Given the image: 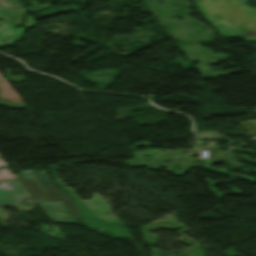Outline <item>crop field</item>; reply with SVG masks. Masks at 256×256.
I'll return each instance as SVG.
<instances>
[{"label": "crop field", "mask_w": 256, "mask_h": 256, "mask_svg": "<svg viewBox=\"0 0 256 256\" xmlns=\"http://www.w3.org/2000/svg\"><path fill=\"white\" fill-rule=\"evenodd\" d=\"M17 177L19 179H21L24 183V185L27 187V189L33 194V196L36 199H58V200H62L60 195L57 194L48 184H50L58 193L62 194L63 199L65 200L71 214L73 215L74 218H79L68 195L63 192L59 187H57L53 181L49 178V176L43 172V171H39V170H32V171H27L24 172L22 174L17 175ZM26 178L28 180V182L33 186V188L35 190H33L31 188V186L26 182V180L24 179ZM35 182L38 187L43 191V193L46 196H43L41 194V192L38 190V188L35 186V184L33 183ZM44 182L47 183L46 185H44ZM36 194H39L41 197L37 196Z\"/></svg>", "instance_id": "obj_1"}, {"label": "crop field", "mask_w": 256, "mask_h": 256, "mask_svg": "<svg viewBox=\"0 0 256 256\" xmlns=\"http://www.w3.org/2000/svg\"><path fill=\"white\" fill-rule=\"evenodd\" d=\"M1 185L2 187H0V205H16L19 204L22 200L30 197L26 190L23 188V186L20 184V182H6L1 183ZM4 186L8 188L5 189Z\"/></svg>", "instance_id": "obj_2"}, {"label": "crop field", "mask_w": 256, "mask_h": 256, "mask_svg": "<svg viewBox=\"0 0 256 256\" xmlns=\"http://www.w3.org/2000/svg\"><path fill=\"white\" fill-rule=\"evenodd\" d=\"M42 204L45 212L56 222L73 223L72 219L63 204L59 201H38Z\"/></svg>", "instance_id": "obj_3"}, {"label": "crop field", "mask_w": 256, "mask_h": 256, "mask_svg": "<svg viewBox=\"0 0 256 256\" xmlns=\"http://www.w3.org/2000/svg\"><path fill=\"white\" fill-rule=\"evenodd\" d=\"M90 74H94V76L85 75L84 78L88 79L86 81L98 84L97 88L100 90H106L108 87L115 81V79L119 76L118 70H107L101 72H88ZM82 75L83 73L80 72ZM102 75V76H97ZM83 77V76H82Z\"/></svg>", "instance_id": "obj_4"}, {"label": "crop field", "mask_w": 256, "mask_h": 256, "mask_svg": "<svg viewBox=\"0 0 256 256\" xmlns=\"http://www.w3.org/2000/svg\"><path fill=\"white\" fill-rule=\"evenodd\" d=\"M184 152H185L184 150L168 151V150L164 149V151H161L159 154H157L155 156H148L147 158H153V159H157V160H161V161L171 160L172 164L182 165V166L191 167V168L198 167L197 165H195L196 160L192 159L191 157H189L187 155H184ZM172 154L175 156H179V158L170 159L169 157Z\"/></svg>", "instance_id": "obj_5"}, {"label": "crop field", "mask_w": 256, "mask_h": 256, "mask_svg": "<svg viewBox=\"0 0 256 256\" xmlns=\"http://www.w3.org/2000/svg\"><path fill=\"white\" fill-rule=\"evenodd\" d=\"M153 144L150 142H145V144H141V143H137L135 144L131 149L134 150L133 153H131L130 155L135 156L134 159L127 161V165H130L131 167H140V166H147L148 169H153V166L150 164V162H148L146 160V158L144 157L145 155H155L157 153H159L161 150L160 149H156V150H150L151 146ZM138 146H148V152H140V151H136V148Z\"/></svg>", "instance_id": "obj_6"}, {"label": "crop field", "mask_w": 256, "mask_h": 256, "mask_svg": "<svg viewBox=\"0 0 256 256\" xmlns=\"http://www.w3.org/2000/svg\"><path fill=\"white\" fill-rule=\"evenodd\" d=\"M205 169H209V170H213V171H217V172H221V173H225V174H229V175H232V179L231 181H223L224 183H228V182H232L233 179H237V180H242V179H247L253 183H255L256 181L254 180L255 178H252V177H249V176H243V175H237V174H233L227 170H232V169H221V170H217V169H214L212 167H204ZM206 182H209L211 188L210 190L216 195L217 198H222V195L223 194H227V193H218L214 188H213V185H219V182H210L208 181V179L205 180ZM228 188L232 189L231 192L229 193H233V194H242V192L234 189L233 187L227 185Z\"/></svg>", "instance_id": "obj_7"}, {"label": "crop field", "mask_w": 256, "mask_h": 256, "mask_svg": "<svg viewBox=\"0 0 256 256\" xmlns=\"http://www.w3.org/2000/svg\"><path fill=\"white\" fill-rule=\"evenodd\" d=\"M88 2H89L88 0H79V1L74 2V3L80 4L79 7H76V6H73L71 8L55 7V8H51V9L45 10V11L34 13L32 15H45V16H49V15L56 14V13H59V12L66 13V12L71 11V10H73V11L78 13V12L81 11L80 8L82 6H84L85 4H87Z\"/></svg>", "instance_id": "obj_8"}, {"label": "crop field", "mask_w": 256, "mask_h": 256, "mask_svg": "<svg viewBox=\"0 0 256 256\" xmlns=\"http://www.w3.org/2000/svg\"><path fill=\"white\" fill-rule=\"evenodd\" d=\"M148 160L151 162V164L154 166V168H158L159 166L166 167V168H168L167 169L168 172H170L176 166V165H172V164L153 161L151 159H148ZM189 170H191V169L186 168V167L176 166V168L173 170V173L177 174L176 176H183Z\"/></svg>", "instance_id": "obj_9"}, {"label": "crop field", "mask_w": 256, "mask_h": 256, "mask_svg": "<svg viewBox=\"0 0 256 256\" xmlns=\"http://www.w3.org/2000/svg\"><path fill=\"white\" fill-rule=\"evenodd\" d=\"M58 1H62V0H53L49 3H47V5H44V4H41V5H38L37 1H29L28 3H30V10L32 11H29L30 13H33V12H38V11H41V10H44V9H48V8H51V5L55 2H58Z\"/></svg>", "instance_id": "obj_10"}, {"label": "crop field", "mask_w": 256, "mask_h": 256, "mask_svg": "<svg viewBox=\"0 0 256 256\" xmlns=\"http://www.w3.org/2000/svg\"><path fill=\"white\" fill-rule=\"evenodd\" d=\"M202 161L204 162V166H211L212 163L223 162V161L214 160V159H203ZM237 161L253 163L252 159H240V158H227V161L225 162H237Z\"/></svg>", "instance_id": "obj_11"}, {"label": "crop field", "mask_w": 256, "mask_h": 256, "mask_svg": "<svg viewBox=\"0 0 256 256\" xmlns=\"http://www.w3.org/2000/svg\"><path fill=\"white\" fill-rule=\"evenodd\" d=\"M9 101V100H7ZM6 100H3L0 98V106H5V107H9V108H19L20 106L24 108L23 104H17V103H13L11 101V103L7 102Z\"/></svg>", "instance_id": "obj_12"}, {"label": "crop field", "mask_w": 256, "mask_h": 256, "mask_svg": "<svg viewBox=\"0 0 256 256\" xmlns=\"http://www.w3.org/2000/svg\"><path fill=\"white\" fill-rule=\"evenodd\" d=\"M3 162V163H1ZM2 164H5L3 160H0V165ZM1 174H0V180H3V179H11V178H16L15 176L11 175L7 170H3V171H0ZM7 172V173H5Z\"/></svg>", "instance_id": "obj_13"}, {"label": "crop field", "mask_w": 256, "mask_h": 256, "mask_svg": "<svg viewBox=\"0 0 256 256\" xmlns=\"http://www.w3.org/2000/svg\"><path fill=\"white\" fill-rule=\"evenodd\" d=\"M9 1H11V0H5V1L0 2V6H3V7L21 6L20 1H11L13 3H9Z\"/></svg>", "instance_id": "obj_14"}, {"label": "crop field", "mask_w": 256, "mask_h": 256, "mask_svg": "<svg viewBox=\"0 0 256 256\" xmlns=\"http://www.w3.org/2000/svg\"><path fill=\"white\" fill-rule=\"evenodd\" d=\"M10 73H11V71H9L8 74H6L7 78H5V79H8V80H11V81H14V82H20V81L25 80V77L23 75H20V76H17V77H12V76H10Z\"/></svg>", "instance_id": "obj_15"}, {"label": "crop field", "mask_w": 256, "mask_h": 256, "mask_svg": "<svg viewBox=\"0 0 256 256\" xmlns=\"http://www.w3.org/2000/svg\"><path fill=\"white\" fill-rule=\"evenodd\" d=\"M34 24H35L34 20L28 15L24 26L30 28V27L34 26Z\"/></svg>", "instance_id": "obj_16"}, {"label": "crop field", "mask_w": 256, "mask_h": 256, "mask_svg": "<svg viewBox=\"0 0 256 256\" xmlns=\"http://www.w3.org/2000/svg\"><path fill=\"white\" fill-rule=\"evenodd\" d=\"M176 61H180V63H181L180 66H182V67L185 68L186 70H189V68H187L186 65L191 64L190 62L185 61V60H182V59H180V58L176 59Z\"/></svg>", "instance_id": "obj_17"}, {"label": "crop field", "mask_w": 256, "mask_h": 256, "mask_svg": "<svg viewBox=\"0 0 256 256\" xmlns=\"http://www.w3.org/2000/svg\"><path fill=\"white\" fill-rule=\"evenodd\" d=\"M68 44L77 45V46H86L78 41H74V43H68Z\"/></svg>", "instance_id": "obj_18"}, {"label": "crop field", "mask_w": 256, "mask_h": 256, "mask_svg": "<svg viewBox=\"0 0 256 256\" xmlns=\"http://www.w3.org/2000/svg\"><path fill=\"white\" fill-rule=\"evenodd\" d=\"M200 134L212 135V134H218V133H215V132L207 133V131H204V132H202Z\"/></svg>", "instance_id": "obj_19"}, {"label": "crop field", "mask_w": 256, "mask_h": 256, "mask_svg": "<svg viewBox=\"0 0 256 256\" xmlns=\"http://www.w3.org/2000/svg\"><path fill=\"white\" fill-rule=\"evenodd\" d=\"M26 31V30H25ZM19 38V37H18ZM13 43V42H12ZM10 44V43H9Z\"/></svg>", "instance_id": "obj_20"}]
</instances>
